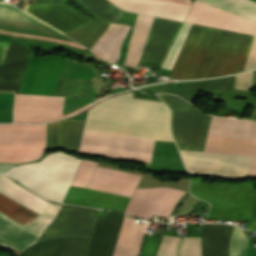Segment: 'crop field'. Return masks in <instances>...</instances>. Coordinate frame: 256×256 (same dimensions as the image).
Listing matches in <instances>:
<instances>
[{"label":"crop field","mask_w":256,"mask_h":256,"mask_svg":"<svg viewBox=\"0 0 256 256\" xmlns=\"http://www.w3.org/2000/svg\"><path fill=\"white\" fill-rule=\"evenodd\" d=\"M170 113L162 102L132 98L106 99L88 110L84 132L173 141ZM83 133L79 152L150 163L154 141Z\"/></svg>","instance_id":"obj_1"},{"label":"crop field","mask_w":256,"mask_h":256,"mask_svg":"<svg viewBox=\"0 0 256 256\" xmlns=\"http://www.w3.org/2000/svg\"><path fill=\"white\" fill-rule=\"evenodd\" d=\"M253 37L192 25L170 77L204 78L241 72Z\"/></svg>","instance_id":"obj_2"},{"label":"crop field","mask_w":256,"mask_h":256,"mask_svg":"<svg viewBox=\"0 0 256 256\" xmlns=\"http://www.w3.org/2000/svg\"><path fill=\"white\" fill-rule=\"evenodd\" d=\"M0 196L33 210L54 220L61 205H53L48 201L42 200L27 190L12 182L9 178L0 175ZM0 197V211L32 228L43 232L52 221L22 206ZM0 212V216L18 224L19 226L37 234L41 232L32 229ZM0 217V244L23 251L26 247L34 244L37 235L7 221Z\"/></svg>","instance_id":"obj_3"},{"label":"crop field","mask_w":256,"mask_h":256,"mask_svg":"<svg viewBox=\"0 0 256 256\" xmlns=\"http://www.w3.org/2000/svg\"><path fill=\"white\" fill-rule=\"evenodd\" d=\"M194 5L256 23V2L252 0H196ZM194 5L185 22L256 35V24ZM191 25L183 23L163 68L172 69Z\"/></svg>","instance_id":"obj_4"},{"label":"crop field","mask_w":256,"mask_h":256,"mask_svg":"<svg viewBox=\"0 0 256 256\" xmlns=\"http://www.w3.org/2000/svg\"><path fill=\"white\" fill-rule=\"evenodd\" d=\"M123 10L183 22L190 7V0H109ZM154 18L141 59L163 60L171 42L181 27V22Z\"/></svg>","instance_id":"obj_5"},{"label":"crop field","mask_w":256,"mask_h":256,"mask_svg":"<svg viewBox=\"0 0 256 256\" xmlns=\"http://www.w3.org/2000/svg\"><path fill=\"white\" fill-rule=\"evenodd\" d=\"M80 161L68 154L54 152L40 162L14 166L5 174L12 176L38 194L61 202Z\"/></svg>","instance_id":"obj_6"},{"label":"crop field","mask_w":256,"mask_h":256,"mask_svg":"<svg viewBox=\"0 0 256 256\" xmlns=\"http://www.w3.org/2000/svg\"><path fill=\"white\" fill-rule=\"evenodd\" d=\"M98 210L63 205L37 242L65 236L60 256H85Z\"/></svg>","instance_id":"obj_7"},{"label":"crop field","mask_w":256,"mask_h":256,"mask_svg":"<svg viewBox=\"0 0 256 256\" xmlns=\"http://www.w3.org/2000/svg\"><path fill=\"white\" fill-rule=\"evenodd\" d=\"M158 97L172 110L171 129L178 148L203 151L211 117L178 97Z\"/></svg>","instance_id":"obj_8"},{"label":"crop field","mask_w":256,"mask_h":256,"mask_svg":"<svg viewBox=\"0 0 256 256\" xmlns=\"http://www.w3.org/2000/svg\"><path fill=\"white\" fill-rule=\"evenodd\" d=\"M47 123L0 125V162L34 161L45 149Z\"/></svg>","instance_id":"obj_9"},{"label":"crop field","mask_w":256,"mask_h":256,"mask_svg":"<svg viewBox=\"0 0 256 256\" xmlns=\"http://www.w3.org/2000/svg\"><path fill=\"white\" fill-rule=\"evenodd\" d=\"M190 174L247 177L253 156L179 151Z\"/></svg>","instance_id":"obj_10"},{"label":"crop field","mask_w":256,"mask_h":256,"mask_svg":"<svg viewBox=\"0 0 256 256\" xmlns=\"http://www.w3.org/2000/svg\"><path fill=\"white\" fill-rule=\"evenodd\" d=\"M215 117V116H213ZM220 118V117H217ZM226 119V118H225ZM236 120V119H233ZM255 122L251 120H241ZM210 129L256 134V123L213 118ZM209 130L208 137L256 141V135ZM207 138L204 151L253 155L256 142Z\"/></svg>","instance_id":"obj_11"},{"label":"crop field","mask_w":256,"mask_h":256,"mask_svg":"<svg viewBox=\"0 0 256 256\" xmlns=\"http://www.w3.org/2000/svg\"><path fill=\"white\" fill-rule=\"evenodd\" d=\"M97 163L82 159L71 184L88 186ZM141 176L97 166L88 187L131 197Z\"/></svg>","instance_id":"obj_12"},{"label":"crop field","mask_w":256,"mask_h":256,"mask_svg":"<svg viewBox=\"0 0 256 256\" xmlns=\"http://www.w3.org/2000/svg\"><path fill=\"white\" fill-rule=\"evenodd\" d=\"M63 1L36 0V4H27L24 11L64 34L92 21Z\"/></svg>","instance_id":"obj_13"},{"label":"crop field","mask_w":256,"mask_h":256,"mask_svg":"<svg viewBox=\"0 0 256 256\" xmlns=\"http://www.w3.org/2000/svg\"><path fill=\"white\" fill-rule=\"evenodd\" d=\"M183 193L164 187L137 189L125 213L148 219L152 215L168 217Z\"/></svg>","instance_id":"obj_14"},{"label":"crop field","mask_w":256,"mask_h":256,"mask_svg":"<svg viewBox=\"0 0 256 256\" xmlns=\"http://www.w3.org/2000/svg\"><path fill=\"white\" fill-rule=\"evenodd\" d=\"M64 97L15 94L14 122H36L59 117Z\"/></svg>","instance_id":"obj_15"},{"label":"crop field","mask_w":256,"mask_h":256,"mask_svg":"<svg viewBox=\"0 0 256 256\" xmlns=\"http://www.w3.org/2000/svg\"><path fill=\"white\" fill-rule=\"evenodd\" d=\"M124 216L100 210L86 256H112Z\"/></svg>","instance_id":"obj_16"},{"label":"crop field","mask_w":256,"mask_h":256,"mask_svg":"<svg viewBox=\"0 0 256 256\" xmlns=\"http://www.w3.org/2000/svg\"><path fill=\"white\" fill-rule=\"evenodd\" d=\"M232 225H201L202 256H228Z\"/></svg>","instance_id":"obj_17"},{"label":"crop field","mask_w":256,"mask_h":256,"mask_svg":"<svg viewBox=\"0 0 256 256\" xmlns=\"http://www.w3.org/2000/svg\"><path fill=\"white\" fill-rule=\"evenodd\" d=\"M130 26L110 24L105 33L93 44L92 50L116 63L120 45Z\"/></svg>","instance_id":"obj_18"},{"label":"crop field","mask_w":256,"mask_h":256,"mask_svg":"<svg viewBox=\"0 0 256 256\" xmlns=\"http://www.w3.org/2000/svg\"><path fill=\"white\" fill-rule=\"evenodd\" d=\"M156 256H201L200 237L162 236Z\"/></svg>","instance_id":"obj_19"},{"label":"crop field","mask_w":256,"mask_h":256,"mask_svg":"<svg viewBox=\"0 0 256 256\" xmlns=\"http://www.w3.org/2000/svg\"><path fill=\"white\" fill-rule=\"evenodd\" d=\"M135 220L133 218H124L113 256H136L145 225L134 223Z\"/></svg>","instance_id":"obj_20"},{"label":"crop field","mask_w":256,"mask_h":256,"mask_svg":"<svg viewBox=\"0 0 256 256\" xmlns=\"http://www.w3.org/2000/svg\"><path fill=\"white\" fill-rule=\"evenodd\" d=\"M146 17L147 16H145V15H140V14L137 15V19H136L135 26H134L132 36H131V40H130V46H129L128 54H127V57H126L125 64H127V65L130 62L131 56L133 54L134 48L136 46L137 40H138L139 35L141 33V30H142V27L144 25ZM153 18L154 17L148 16L147 19H146V22H145V25L143 27L142 33L140 35L139 41L137 43V46L135 48V51H134V54L132 56L131 62L129 64L131 66H135V67L137 66V63H138V60L140 58L144 43L146 41L150 26H151L152 21H153Z\"/></svg>","instance_id":"obj_21"},{"label":"crop field","mask_w":256,"mask_h":256,"mask_svg":"<svg viewBox=\"0 0 256 256\" xmlns=\"http://www.w3.org/2000/svg\"><path fill=\"white\" fill-rule=\"evenodd\" d=\"M87 11L103 22L117 23L122 12L107 0H77Z\"/></svg>","instance_id":"obj_22"},{"label":"crop field","mask_w":256,"mask_h":256,"mask_svg":"<svg viewBox=\"0 0 256 256\" xmlns=\"http://www.w3.org/2000/svg\"><path fill=\"white\" fill-rule=\"evenodd\" d=\"M85 120H61V147L78 150Z\"/></svg>","instance_id":"obj_23"},{"label":"crop field","mask_w":256,"mask_h":256,"mask_svg":"<svg viewBox=\"0 0 256 256\" xmlns=\"http://www.w3.org/2000/svg\"><path fill=\"white\" fill-rule=\"evenodd\" d=\"M247 246L248 239L245 230L235 226L230 239L229 256H247Z\"/></svg>","instance_id":"obj_24"},{"label":"crop field","mask_w":256,"mask_h":256,"mask_svg":"<svg viewBox=\"0 0 256 256\" xmlns=\"http://www.w3.org/2000/svg\"><path fill=\"white\" fill-rule=\"evenodd\" d=\"M0 18L6 20H12L22 23H30V24H40L44 25L35 19L29 17L18 9H12L11 5L8 4H0Z\"/></svg>","instance_id":"obj_25"},{"label":"crop field","mask_w":256,"mask_h":256,"mask_svg":"<svg viewBox=\"0 0 256 256\" xmlns=\"http://www.w3.org/2000/svg\"><path fill=\"white\" fill-rule=\"evenodd\" d=\"M59 148V121L51 122L49 128V149Z\"/></svg>","instance_id":"obj_26"},{"label":"crop field","mask_w":256,"mask_h":256,"mask_svg":"<svg viewBox=\"0 0 256 256\" xmlns=\"http://www.w3.org/2000/svg\"><path fill=\"white\" fill-rule=\"evenodd\" d=\"M252 71L236 75L234 88L251 89Z\"/></svg>","instance_id":"obj_27"},{"label":"crop field","mask_w":256,"mask_h":256,"mask_svg":"<svg viewBox=\"0 0 256 256\" xmlns=\"http://www.w3.org/2000/svg\"><path fill=\"white\" fill-rule=\"evenodd\" d=\"M0 33L1 34H7V35H10V36H24V37H28V35H26V34H20V33H14V32L2 31V30H0ZM29 37L51 40V41H55V42H59V43L68 44V45H71V46H74V47H77V48L85 49V48L81 47L80 45H78L76 43H72V42L60 41V40L43 38V37L32 36V35H29Z\"/></svg>","instance_id":"obj_28"},{"label":"crop field","mask_w":256,"mask_h":256,"mask_svg":"<svg viewBox=\"0 0 256 256\" xmlns=\"http://www.w3.org/2000/svg\"><path fill=\"white\" fill-rule=\"evenodd\" d=\"M255 67H256V36L254 37V40H253V44L250 50V54L246 63L245 70L255 68Z\"/></svg>","instance_id":"obj_29"},{"label":"crop field","mask_w":256,"mask_h":256,"mask_svg":"<svg viewBox=\"0 0 256 256\" xmlns=\"http://www.w3.org/2000/svg\"><path fill=\"white\" fill-rule=\"evenodd\" d=\"M248 229L256 232V208L254 210Z\"/></svg>","instance_id":"obj_30"},{"label":"crop field","mask_w":256,"mask_h":256,"mask_svg":"<svg viewBox=\"0 0 256 256\" xmlns=\"http://www.w3.org/2000/svg\"><path fill=\"white\" fill-rule=\"evenodd\" d=\"M250 175L256 176V152H255V155H254V158H253Z\"/></svg>","instance_id":"obj_31"},{"label":"crop field","mask_w":256,"mask_h":256,"mask_svg":"<svg viewBox=\"0 0 256 256\" xmlns=\"http://www.w3.org/2000/svg\"><path fill=\"white\" fill-rule=\"evenodd\" d=\"M11 166L9 165H0V173L4 172L5 170H7L8 168H10ZM3 174V173H2Z\"/></svg>","instance_id":"obj_32"},{"label":"crop field","mask_w":256,"mask_h":256,"mask_svg":"<svg viewBox=\"0 0 256 256\" xmlns=\"http://www.w3.org/2000/svg\"><path fill=\"white\" fill-rule=\"evenodd\" d=\"M0 45H2V44H0Z\"/></svg>","instance_id":"obj_33"}]
</instances>
